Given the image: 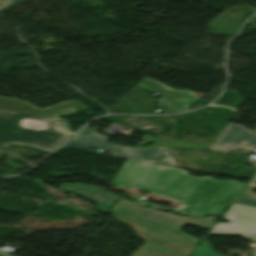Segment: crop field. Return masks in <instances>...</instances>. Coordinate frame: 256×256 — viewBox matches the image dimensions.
Instances as JSON below:
<instances>
[{"mask_svg":"<svg viewBox=\"0 0 256 256\" xmlns=\"http://www.w3.org/2000/svg\"><path fill=\"white\" fill-rule=\"evenodd\" d=\"M5 0H0V6H1V4L4 2Z\"/></svg>","mask_w":256,"mask_h":256,"instance_id":"obj_15","label":"crop field"},{"mask_svg":"<svg viewBox=\"0 0 256 256\" xmlns=\"http://www.w3.org/2000/svg\"><path fill=\"white\" fill-rule=\"evenodd\" d=\"M110 212L195 245L198 244V239L183 233V229L187 225L209 229L217 219L173 216L125 199H120Z\"/></svg>","mask_w":256,"mask_h":256,"instance_id":"obj_4","label":"crop field"},{"mask_svg":"<svg viewBox=\"0 0 256 256\" xmlns=\"http://www.w3.org/2000/svg\"><path fill=\"white\" fill-rule=\"evenodd\" d=\"M60 189L66 192H74L97 203L101 212H106L118 197L101 190L83 184H63Z\"/></svg>","mask_w":256,"mask_h":256,"instance_id":"obj_9","label":"crop field"},{"mask_svg":"<svg viewBox=\"0 0 256 256\" xmlns=\"http://www.w3.org/2000/svg\"><path fill=\"white\" fill-rule=\"evenodd\" d=\"M234 203L244 204V205H249V206L256 207V200H254V199L238 197V199L235 200Z\"/></svg>","mask_w":256,"mask_h":256,"instance_id":"obj_13","label":"crop field"},{"mask_svg":"<svg viewBox=\"0 0 256 256\" xmlns=\"http://www.w3.org/2000/svg\"><path fill=\"white\" fill-rule=\"evenodd\" d=\"M112 185L137 188L182 203L184 215H221L244 187L236 180L192 177L188 171L126 159Z\"/></svg>","mask_w":256,"mask_h":256,"instance_id":"obj_1","label":"crop field"},{"mask_svg":"<svg viewBox=\"0 0 256 256\" xmlns=\"http://www.w3.org/2000/svg\"><path fill=\"white\" fill-rule=\"evenodd\" d=\"M136 86L150 92L159 93L161 100L158 102L175 112L186 110L189 108L190 104L200 100L196 97L195 93L191 91L171 89L148 77L143 78Z\"/></svg>","mask_w":256,"mask_h":256,"instance_id":"obj_8","label":"crop field"},{"mask_svg":"<svg viewBox=\"0 0 256 256\" xmlns=\"http://www.w3.org/2000/svg\"><path fill=\"white\" fill-rule=\"evenodd\" d=\"M112 218L128 224L146 243L131 256H188L195 245L137 224L115 214Z\"/></svg>","mask_w":256,"mask_h":256,"instance_id":"obj_5","label":"crop field"},{"mask_svg":"<svg viewBox=\"0 0 256 256\" xmlns=\"http://www.w3.org/2000/svg\"><path fill=\"white\" fill-rule=\"evenodd\" d=\"M108 136L96 134V130L85 128L73 139H71L64 147H70L80 150H86L87 147L95 148L102 147L112 152V156L129 159L140 160L145 162L175 166L172 158L166 153L169 149H204L208 148L210 144H197L187 143L179 140L168 142L157 136L153 137L149 143L155 144L149 149L146 148H129L118 145L106 143ZM157 146L162 147L161 149L156 148Z\"/></svg>","mask_w":256,"mask_h":256,"instance_id":"obj_3","label":"crop field"},{"mask_svg":"<svg viewBox=\"0 0 256 256\" xmlns=\"http://www.w3.org/2000/svg\"><path fill=\"white\" fill-rule=\"evenodd\" d=\"M254 188H256V175L246 186V188L241 192L240 195L256 199V193L251 192Z\"/></svg>","mask_w":256,"mask_h":256,"instance_id":"obj_11","label":"crop field"},{"mask_svg":"<svg viewBox=\"0 0 256 256\" xmlns=\"http://www.w3.org/2000/svg\"><path fill=\"white\" fill-rule=\"evenodd\" d=\"M84 108L76 101H69L39 109L19 100L0 97V153L9 143L24 144L50 152L72 134L66 130L64 121L55 116ZM27 121L39 122L43 128L31 127Z\"/></svg>","mask_w":256,"mask_h":256,"instance_id":"obj_2","label":"crop field"},{"mask_svg":"<svg viewBox=\"0 0 256 256\" xmlns=\"http://www.w3.org/2000/svg\"><path fill=\"white\" fill-rule=\"evenodd\" d=\"M28 0H9L6 5L2 8L1 11H9L21 4H23L24 2H26Z\"/></svg>","mask_w":256,"mask_h":256,"instance_id":"obj_12","label":"crop field"},{"mask_svg":"<svg viewBox=\"0 0 256 256\" xmlns=\"http://www.w3.org/2000/svg\"><path fill=\"white\" fill-rule=\"evenodd\" d=\"M237 148L256 153V133L241 125L228 123L208 150L227 154Z\"/></svg>","mask_w":256,"mask_h":256,"instance_id":"obj_7","label":"crop field"},{"mask_svg":"<svg viewBox=\"0 0 256 256\" xmlns=\"http://www.w3.org/2000/svg\"><path fill=\"white\" fill-rule=\"evenodd\" d=\"M0 256H11V255L0 253Z\"/></svg>","mask_w":256,"mask_h":256,"instance_id":"obj_14","label":"crop field"},{"mask_svg":"<svg viewBox=\"0 0 256 256\" xmlns=\"http://www.w3.org/2000/svg\"><path fill=\"white\" fill-rule=\"evenodd\" d=\"M221 219L231 222L216 223L204 240L210 235H241L249 241L256 242V208L233 204ZM237 222L239 224H236Z\"/></svg>","mask_w":256,"mask_h":256,"instance_id":"obj_6","label":"crop field"},{"mask_svg":"<svg viewBox=\"0 0 256 256\" xmlns=\"http://www.w3.org/2000/svg\"><path fill=\"white\" fill-rule=\"evenodd\" d=\"M191 256V255H190ZM192 256H224L215 252L209 242L202 240Z\"/></svg>","mask_w":256,"mask_h":256,"instance_id":"obj_10","label":"crop field"}]
</instances>
